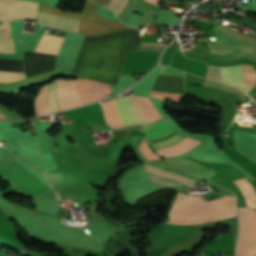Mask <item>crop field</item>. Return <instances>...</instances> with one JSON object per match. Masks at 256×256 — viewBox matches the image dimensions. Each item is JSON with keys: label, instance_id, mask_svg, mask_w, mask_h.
<instances>
[{"label": "crop field", "instance_id": "obj_1", "mask_svg": "<svg viewBox=\"0 0 256 256\" xmlns=\"http://www.w3.org/2000/svg\"><path fill=\"white\" fill-rule=\"evenodd\" d=\"M139 31H122L87 36L69 77H80L117 85L124 66L125 50L136 51L142 37Z\"/></svg>", "mask_w": 256, "mask_h": 256}, {"label": "crop field", "instance_id": "obj_2", "mask_svg": "<svg viewBox=\"0 0 256 256\" xmlns=\"http://www.w3.org/2000/svg\"><path fill=\"white\" fill-rule=\"evenodd\" d=\"M236 207L235 197L223 196L207 201L197 196H175L170 215H203ZM236 216V208L203 216H170L172 222L198 224Z\"/></svg>", "mask_w": 256, "mask_h": 256}, {"label": "crop field", "instance_id": "obj_3", "mask_svg": "<svg viewBox=\"0 0 256 256\" xmlns=\"http://www.w3.org/2000/svg\"><path fill=\"white\" fill-rule=\"evenodd\" d=\"M141 112L146 117L148 123L162 119L157 108L149 98L131 96ZM130 96L116 98V103L124 126L133 124H146L147 121ZM107 124L113 128L121 127V122L117 113L114 100L102 103Z\"/></svg>", "mask_w": 256, "mask_h": 256}, {"label": "crop field", "instance_id": "obj_4", "mask_svg": "<svg viewBox=\"0 0 256 256\" xmlns=\"http://www.w3.org/2000/svg\"><path fill=\"white\" fill-rule=\"evenodd\" d=\"M97 7V5L86 0L81 13L64 11L42 5H40L39 10L82 19L79 33L83 34L96 35L129 27L122 23L113 22L101 17L94 12Z\"/></svg>", "mask_w": 256, "mask_h": 256}, {"label": "crop field", "instance_id": "obj_5", "mask_svg": "<svg viewBox=\"0 0 256 256\" xmlns=\"http://www.w3.org/2000/svg\"><path fill=\"white\" fill-rule=\"evenodd\" d=\"M239 231L235 255L256 256V211L238 208Z\"/></svg>", "mask_w": 256, "mask_h": 256}, {"label": "crop field", "instance_id": "obj_6", "mask_svg": "<svg viewBox=\"0 0 256 256\" xmlns=\"http://www.w3.org/2000/svg\"><path fill=\"white\" fill-rule=\"evenodd\" d=\"M244 78L249 87L256 85V73L251 65H243ZM242 65L221 68V82L236 86L248 93L249 88L243 79ZM207 78L220 82V68L209 66Z\"/></svg>", "mask_w": 256, "mask_h": 256}, {"label": "crop field", "instance_id": "obj_7", "mask_svg": "<svg viewBox=\"0 0 256 256\" xmlns=\"http://www.w3.org/2000/svg\"><path fill=\"white\" fill-rule=\"evenodd\" d=\"M147 139L162 136L172 130L171 126L167 123L165 119L158 122L141 125ZM186 138V136L172 130L170 133L163 137L150 139L149 142L154 150H159L166 148L170 145L176 144Z\"/></svg>", "mask_w": 256, "mask_h": 256}, {"label": "crop field", "instance_id": "obj_8", "mask_svg": "<svg viewBox=\"0 0 256 256\" xmlns=\"http://www.w3.org/2000/svg\"><path fill=\"white\" fill-rule=\"evenodd\" d=\"M32 196L36 197L50 188V185L19 163L14 161V165L11 169L9 176Z\"/></svg>", "mask_w": 256, "mask_h": 256}, {"label": "crop field", "instance_id": "obj_9", "mask_svg": "<svg viewBox=\"0 0 256 256\" xmlns=\"http://www.w3.org/2000/svg\"><path fill=\"white\" fill-rule=\"evenodd\" d=\"M158 164V163H156ZM156 164H150V165H146L147 166V170L149 172H152V173H155V174H158V175H161L163 177H166V178H169V179H172V180H175V181H178V182H181L183 184H186V185H189V186H192L193 182H194V178L195 176L193 175H190V174H187V175H190V176H193V177H190V176H187V175H184L182 173H179V172H176V171H173V170H170V169H167V168H164L162 166H159V165H156ZM146 170V172H147ZM147 172V178L149 181H152V182H156L160 185H165V186H181V187H189V186H186V185H183V184H180L178 182H175V181H172V180H169V179H166V178H163V177H160L158 175H155V174H152V173H149Z\"/></svg>", "mask_w": 256, "mask_h": 256}, {"label": "crop field", "instance_id": "obj_10", "mask_svg": "<svg viewBox=\"0 0 256 256\" xmlns=\"http://www.w3.org/2000/svg\"><path fill=\"white\" fill-rule=\"evenodd\" d=\"M39 4L37 2L26 0H0L1 6H17ZM39 5L17 6V7H1L0 20H17V19H33L37 16Z\"/></svg>", "mask_w": 256, "mask_h": 256}, {"label": "crop field", "instance_id": "obj_11", "mask_svg": "<svg viewBox=\"0 0 256 256\" xmlns=\"http://www.w3.org/2000/svg\"><path fill=\"white\" fill-rule=\"evenodd\" d=\"M77 91L83 105L105 98L111 93L109 85L85 79H77Z\"/></svg>", "mask_w": 256, "mask_h": 256}, {"label": "crop field", "instance_id": "obj_12", "mask_svg": "<svg viewBox=\"0 0 256 256\" xmlns=\"http://www.w3.org/2000/svg\"><path fill=\"white\" fill-rule=\"evenodd\" d=\"M81 20L39 11L37 24L77 32Z\"/></svg>", "mask_w": 256, "mask_h": 256}, {"label": "crop field", "instance_id": "obj_13", "mask_svg": "<svg viewBox=\"0 0 256 256\" xmlns=\"http://www.w3.org/2000/svg\"><path fill=\"white\" fill-rule=\"evenodd\" d=\"M57 85L59 103L62 104L64 110L82 105L80 98L76 92V80L58 79Z\"/></svg>", "mask_w": 256, "mask_h": 256}, {"label": "crop field", "instance_id": "obj_14", "mask_svg": "<svg viewBox=\"0 0 256 256\" xmlns=\"http://www.w3.org/2000/svg\"><path fill=\"white\" fill-rule=\"evenodd\" d=\"M235 147L256 162V134L234 131Z\"/></svg>", "mask_w": 256, "mask_h": 256}, {"label": "crop field", "instance_id": "obj_15", "mask_svg": "<svg viewBox=\"0 0 256 256\" xmlns=\"http://www.w3.org/2000/svg\"><path fill=\"white\" fill-rule=\"evenodd\" d=\"M64 38L43 33L35 51L57 54Z\"/></svg>", "mask_w": 256, "mask_h": 256}, {"label": "crop field", "instance_id": "obj_16", "mask_svg": "<svg viewBox=\"0 0 256 256\" xmlns=\"http://www.w3.org/2000/svg\"><path fill=\"white\" fill-rule=\"evenodd\" d=\"M166 160L206 179H208L213 174H215V172L203 166H200L186 158H175V159H166Z\"/></svg>", "mask_w": 256, "mask_h": 256}, {"label": "crop field", "instance_id": "obj_17", "mask_svg": "<svg viewBox=\"0 0 256 256\" xmlns=\"http://www.w3.org/2000/svg\"><path fill=\"white\" fill-rule=\"evenodd\" d=\"M0 52L15 53L9 22H3L0 25Z\"/></svg>", "mask_w": 256, "mask_h": 256}, {"label": "crop field", "instance_id": "obj_18", "mask_svg": "<svg viewBox=\"0 0 256 256\" xmlns=\"http://www.w3.org/2000/svg\"><path fill=\"white\" fill-rule=\"evenodd\" d=\"M159 74L163 75H170V76H178L182 77L183 73L177 70H173L167 67L161 66V71ZM184 94H176V93H164V92H156L152 91L151 95L152 97H157L169 101L179 102V100L182 98Z\"/></svg>", "mask_w": 256, "mask_h": 256}, {"label": "crop field", "instance_id": "obj_19", "mask_svg": "<svg viewBox=\"0 0 256 256\" xmlns=\"http://www.w3.org/2000/svg\"><path fill=\"white\" fill-rule=\"evenodd\" d=\"M235 184L243 192L250 207L256 208V193L246 178L234 180Z\"/></svg>", "mask_w": 256, "mask_h": 256}, {"label": "crop field", "instance_id": "obj_20", "mask_svg": "<svg viewBox=\"0 0 256 256\" xmlns=\"http://www.w3.org/2000/svg\"><path fill=\"white\" fill-rule=\"evenodd\" d=\"M46 99L50 113L61 110L58 103L56 81L48 84Z\"/></svg>", "mask_w": 256, "mask_h": 256}, {"label": "crop field", "instance_id": "obj_21", "mask_svg": "<svg viewBox=\"0 0 256 256\" xmlns=\"http://www.w3.org/2000/svg\"><path fill=\"white\" fill-rule=\"evenodd\" d=\"M46 88L47 84L41 88L35 101L37 116L49 113L45 99Z\"/></svg>", "mask_w": 256, "mask_h": 256}, {"label": "crop field", "instance_id": "obj_22", "mask_svg": "<svg viewBox=\"0 0 256 256\" xmlns=\"http://www.w3.org/2000/svg\"><path fill=\"white\" fill-rule=\"evenodd\" d=\"M217 34V40L219 44L227 45V46H232V47H237V48H242L243 47V42L230 36L225 33H222L220 31H216Z\"/></svg>", "mask_w": 256, "mask_h": 256}, {"label": "crop field", "instance_id": "obj_23", "mask_svg": "<svg viewBox=\"0 0 256 256\" xmlns=\"http://www.w3.org/2000/svg\"><path fill=\"white\" fill-rule=\"evenodd\" d=\"M23 78H25L23 73L0 70V82L2 83H9Z\"/></svg>", "mask_w": 256, "mask_h": 256}, {"label": "crop field", "instance_id": "obj_24", "mask_svg": "<svg viewBox=\"0 0 256 256\" xmlns=\"http://www.w3.org/2000/svg\"><path fill=\"white\" fill-rule=\"evenodd\" d=\"M205 85H208L210 87L217 88V89L228 90V91L232 92L233 94L239 96L241 99H244V97L246 95L235 88L225 86V85H222V84H219V83L207 80V79L205 81Z\"/></svg>", "mask_w": 256, "mask_h": 256}, {"label": "crop field", "instance_id": "obj_25", "mask_svg": "<svg viewBox=\"0 0 256 256\" xmlns=\"http://www.w3.org/2000/svg\"><path fill=\"white\" fill-rule=\"evenodd\" d=\"M128 1L129 0H111V2L108 5V8L113 9L117 17Z\"/></svg>", "mask_w": 256, "mask_h": 256}, {"label": "crop field", "instance_id": "obj_26", "mask_svg": "<svg viewBox=\"0 0 256 256\" xmlns=\"http://www.w3.org/2000/svg\"><path fill=\"white\" fill-rule=\"evenodd\" d=\"M165 45L141 44L138 51H156L161 52Z\"/></svg>", "mask_w": 256, "mask_h": 256}, {"label": "crop field", "instance_id": "obj_27", "mask_svg": "<svg viewBox=\"0 0 256 256\" xmlns=\"http://www.w3.org/2000/svg\"><path fill=\"white\" fill-rule=\"evenodd\" d=\"M92 1L102 5L104 7H107L108 3L110 2V0H92Z\"/></svg>", "mask_w": 256, "mask_h": 256}, {"label": "crop field", "instance_id": "obj_28", "mask_svg": "<svg viewBox=\"0 0 256 256\" xmlns=\"http://www.w3.org/2000/svg\"><path fill=\"white\" fill-rule=\"evenodd\" d=\"M145 1H147V2H150V3H153V4L157 5V4H158V2H159L160 0H145Z\"/></svg>", "mask_w": 256, "mask_h": 256}, {"label": "crop field", "instance_id": "obj_29", "mask_svg": "<svg viewBox=\"0 0 256 256\" xmlns=\"http://www.w3.org/2000/svg\"><path fill=\"white\" fill-rule=\"evenodd\" d=\"M57 197H58V200H63V199L61 198V195H58Z\"/></svg>", "mask_w": 256, "mask_h": 256}, {"label": "crop field", "instance_id": "obj_30", "mask_svg": "<svg viewBox=\"0 0 256 256\" xmlns=\"http://www.w3.org/2000/svg\"><path fill=\"white\" fill-rule=\"evenodd\" d=\"M0 117H6V116L0 113Z\"/></svg>", "mask_w": 256, "mask_h": 256}]
</instances>
